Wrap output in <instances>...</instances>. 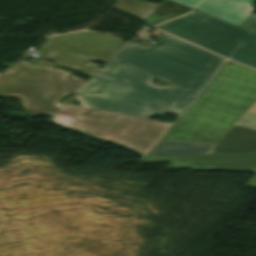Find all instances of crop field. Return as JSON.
<instances>
[{"label":"crop field","mask_w":256,"mask_h":256,"mask_svg":"<svg viewBox=\"0 0 256 256\" xmlns=\"http://www.w3.org/2000/svg\"><path fill=\"white\" fill-rule=\"evenodd\" d=\"M256 101V71L227 61L161 139L216 143Z\"/></svg>","instance_id":"8a807250"},{"label":"crop field","mask_w":256,"mask_h":256,"mask_svg":"<svg viewBox=\"0 0 256 256\" xmlns=\"http://www.w3.org/2000/svg\"><path fill=\"white\" fill-rule=\"evenodd\" d=\"M74 94L85 107L146 119L150 104L179 116L195 96L176 86L150 85L148 75L110 58Z\"/></svg>","instance_id":"ac0d7876"},{"label":"crop field","mask_w":256,"mask_h":256,"mask_svg":"<svg viewBox=\"0 0 256 256\" xmlns=\"http://www.w3.org/2000/svg\"><path fill=\"white\" fill-rule=\"evenodd\" d=\"M156 40L147 47L126 41L110 58L194 94L198 93L224 61L166 34Z\"/></svg>","instance_id":"34b2d1b8"},{"label":"crop field","mask_w":256,"mask_h":256,"mask_svg":"<svg viewBox=\"0 0 256 256\" xmlns=\"http://www.w3.org/2000/svg\"><path fill=\"white\" fill-rule=\"evenodd\" d=\"M53 121L105 139L142 157L150 153L172 126L169 123L72 105L59 108Z\"/></svg>","instance_id":"412701ff"},{"label":"crop field","mask_w":256,"mask_h":256,"mask_svg":"<svg viewBox=\"0 0 256 256\" xmlns=\"http://www.w3.org/2000/svg\"><path fill=\"white\" fill-rule=\"evenodd\" d=\"M156 28L256 68V34L193 11Z\"/></svg>","instance_id":"f4fd0767"},{"label":"crop field","mask_w":256,"mask_h":256,"mask_svg":"<svg viewBox=\"0 0 256 256\" xmlns=\"http://www.w3.org/2000/svg\"><path fill=\"white\" fill-rule=\"evenodd\" d=\"M83 83L59 69L13 62L0 76V95L20 96L29 114L55 112L59 98Z\"/></svg>","instance_id":"dd49c442"},{"label":"crop field","mask_w":256,"mask_h":256,"mask_svg":"<svg viewBox=\"0 0 256 256\" xmlns=\"http://www.w3.org/2000/svg\"><path fill=\"white\" fill-rule=\"evenodd\" d=\"M256 152V102L216 144L162 140L150 156Z\"/></svg>","instance_id":"e52e79f7"},{"label":"crop field","mask_w":256,"mask_h":256,"mask_svg":"<svg viewBox=\"0 0 256 256\" xmlns=\"http://www.w3.org/2000/svg\"><path fill=\"white\" fill-rule=\"evenodd\" d=\"M122 42V39L79 31L51 37L38 49L104 62Z\"/></svg>","instance_id":"d8731c3e"},{"label":"crop field","mask_w":256,"mask_h":256,"mask_svg":"<svg viewBox=\"0 0 256 256\" xmlns=\"http://www.w3.org/2000/svg\"><path fill=\"white\" fill-rule=\"evenodd\" d=\"M172 161L167 168L222 169L256 173V154L146 157L145 162Z\"/></svg>","instance_id":"5a996713"},{"label":"crop field","mask_w":256,"mask_h":256,"mask_svg":"<svg viewBox=\"0 0 256 256\" xmlns=\"http://www.w3.org/2000/svg\"><path fill=\"white\" fill-rule=\"evenodd\" d=\"M203 1V0H202ZM256 0H204L195 10L239 26L246 20Z\"/></svg>","instance_id":"3316defc"},{"label":"crop field","mask_w":256,"mask_h":256,"mask_svg":"<svg viewBox=\"0 0 256 256\" xmlns=\"http://www.w3.org/2000/svg\"><path fill=\"white\" fill-rule=\"evenodd\" d=\"M42 53L43 57L56 60L57 63L71 66L76 71L80 72L81 74L90 75L98 68V64H93L87 60H82L62 54L55 53L54 55L50 54L48 51L39 50Z\"/></svg>","instance_id":"28ad6ade"},{"label":"crop field","mask_w":256,"mask_h":256,"mask_svg":"<svg viewBox=\"0 0 256 256\" xmlns=\"http://www.w3.org/2000/svg\"><path fill=\"white\" fill-rule=\"evenodd\" d=\"M120 1L115 9L145 20L159 5L142 0H117Z\"/></svg>","instance_id":"d1516ede"},{"label":"crop field","mask_w":256,"mask_h":256,"mask_svg":"<svg viewBox=\"0 0 256 256\" xmlns=\"http://www.w3.org/2000/svg\"><path fill=\"white\" fill-rule=\"evenodd\" d=\"M175 16L173 15H170L168 13L164 14L163 16H158L156 14H151L145 21L144 23H146L147 25L149 26H153V25H156V24H159L161 22H164V21H167L171 18H173Z\"/></svg>","instance_id":"22f410ed"},{"label":"crop field","mask_w":256,"mask_h":256,"mask_svg":"<svg viewBox=\"0 0 256 256\" xmlns=\"http://www.w3.org/2000/svg\"><path fill=\"white\" fill-rule=\"evenodd\" d=\"M240 27L256 33V16L251 15L245 22H243Z\"/></svg>","instance_id":"cbeb9de0"},{"label":"crop field","mask_w":256,"mask_h":256,"mask_svg":"<svg viewBox=\"0 0 256 256\" xmlns=\"http://www.w3.org/2000/svg\"><path fill=\"white\" fill-rule=\"evenodd\" d=\"M193 9L201 0H172Z\"/></svg>","instance_id":"5142ce71"},{"label":"crop field","mask_w":256,"mask_h":256,"mask_svg":"<svg viewBox=\"0 0 256 256\" xmlns=\"http://www.w3.org/2000/svg\"><path fill=\"white\" fill-rule=\"evenodd\" d=\"M156 110H161V109H159V108L154 107V106L151 105V108H150V115H151V113H152L153 111H156ZM149 117H150V116H149Z\"/></svg>","instance_id":"d9b57169"},{"label":"crop field","mask_w":256,"mask_h":256,"mask_svg":"<svg viewBox=\"0 0 256 256\" xmlns=\"http://www.w3.org/2000/svg\"><path fill=\"white\" fill-rule=\"evenodd\" d=\"M1 75V74H0Z\"/></svg>","instance_id":"733c2abd"}]
</instances>
